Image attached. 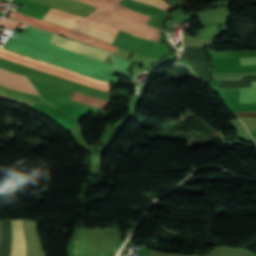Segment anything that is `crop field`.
Listing matches in <instances>:
<instances>
[{"instance_id": "8", "label": "crop field", "mask_w": 256, "mask_h": 256, "mask_svg": "<svg viewBox=\"0 0 256 256\" xmlns=\"http://www.w3.org/2000/svg\"><path fill=\"white\" fill-rule=\"evenodd\" d=\"M0 85L6 86V87H9V88H12V89H16V90H20V91H24V92H28V93H32V94L38 95L37 92H35L33 90H30V89H27V88H23V87L11 84V83L6 82V81L1 80V79H0Z\"/></svg>"}, {"instance_id": "6", "label": "crop field", "mask_w": 256, "mask_h": 256, "mask_svg": "<svg viewBox=\"0 0 256 256\" xmlns=\"http://www.w3.org/2000/svg\"><path fill=\"white\" fill-rule=\"evenodd\" d=\"M26 246L22 221H13L12 239L9 256H25Z\"/></svg>"}, {"instance_id": "4", "label": "crop field", "mask_w": 256, "mask_h": 256, "mask_svg": "<svg viewBox=\"0 0 256 256\" xmlns=\"http://www.w3.org/2000/svg\"><path fill=\"white\" fill-rule=\"evenodd\" d=\"M50 43L60 46L62 48L77 52V53H81V54L96 58L101 61H103L105 57L108 55V53L106 52H103L94 48H90L78 43H74L54 35L52 36Z\"/></svg>"}, {"instance_id": "7", "label": "crop field", "mask_w": 256, "mask_h": 256, "mask_svg": "<svg viewBox=\"0 0 256 256\" xmlns=\"http://www.w3.org/2000/svg\"><path fill=\"white\" fill-rule=\"evenodd\" d=\"M71 99L77 100V101H80L83 103H87V104H90L93 106L102 107V108H105L109 104L108 101L97 99V98H94V97H91V96H88V95H85V94H82V93H79L76 91H74Z\"/></svg>"}, {"instance_id": "9", "label": "crop field", "mask_w": 256, "mask_h": 256, "mask_svg": "<svg viewBox=\"0 0 256 256\" xmlns=\"http://www.w3.org/2000/svg\"><path fill=\"white\" fill-rule=\"evenodd\" d=\"M138 1L153 4V5H156L158 7L163 8V9H167V8L171 7V6L167 5L165 3V1H163V0H138Z\"/></svg>"}, {"instance_id": "10", "label": "crop field", "mask_w": 256, "mask_h": 256, "mask_svg": "<svg viewBox=\"0 0 256 256\" xmlns=\"http://www.w3.org/2000/svg\"><path fill=\"white\" fill-rule=\"evenodd\" d=\"M18 22L12 20L1 19L0 26L14 30Z\"/></svg>"}, {"instance_id": "2", "label": "crop field", "mask_w": 256, "mask_h": 256, "mask_svg": "<svg viewBox=\"0 0 256 256\" xmlns=\"http://www.w3.org/2000/svg\"><path fill=\"white\" fill-rule=\"evenodd\" d=\"M0 57L19 63L21 65L31 67L40 71H44L58 77L80 83L83 85H87L93 88L109 91V83L93 80L91 78L85 77L83 75L77 74L75 72L66 70L64 68L40 61V60H33L28 57L4 50L0 48Z\"/></svg>"}, {"instance_id": "1", "label": "crop field", "mask_w": 256, "mask_h": 256, "mask_svg": "<svg viewBox=\"0 0 256 256\" xmlns=\"http://www.w3.org/2000/svg\"><path fill=\"white\" fill-rule=\"evenodd\" d=\"M79 1L98 7L87 18L111 25L135 36L159 42V30L145 25L149 16L116 6L122 0Z\"/></svg>"}, {"instance_id": "5", "label": "crop field", "mask_w": 256, "mask_h": 256, "mask_svg": "<svg viewBox=\"0 0 256 256\" xmlns=\"http://www.w3.org/2000/svg\"><path fill=\"white\" fill-rule=\"evenodd\" d=\"M43 20H46V21H49V22H52V23H55V24H58V25H61V26L67 27V28H71V29H74V30H77V31H80V32H83V33H86V34H89L91 36L97 37L99 39L105 40V41L110 42V43L112 42V40L114 38L113 36H110L108 34L99 32L97 30L88 28L86 26H83V25H80V24H77V23H74V22H71V21H68V20H65V19H61V18H58V17H55V16H51V15H48V14L45 15Z\"/></svg>"}, {"instance_id": "12", "label": "crop field", "mask_w": 256, "mask_h": 256, "mask_svg": "<svg viewBox=\"0 0 256 256\" xmlns=\"http://www.w3.org/2000/svg\"><path fill=\"white\" fill-rule=\"evenodd\" d=\"M252 87H256V81L252 82Z\"/></svg>"}, {"instance_id": "3", "label": "crop field", "mask_w": 256, "mask_h": 256, "mask_svg": "<svg viewBox=\"0 0 256 256\" xmlns=\"http://www.w3.org/2000/svg\"><path fill=\"white\" fill-rule=\"evenodd\" d=\"M9 17L21 20L27 24H30V25H33V26H36V27H39L42 29H46V30L58 33L60 35H64V36H67V37H70V38H73V39H76V40H79V41H82V42H85L88 44H92V45H95V46H98V47H101V48H104V49H107V50H110L113 52H115L117 49V47H114V46L108 45L106 43H103L101 41H98L96 39H93L85 34L74 32L67 28H64V27H61V26H58V25H55V24H52V23H49L46 21H42V20H39V19H36L33 17H29L26 15L17 13L15 11H13Z\"/></svg>"}, {"instance_id": "11", "label": "crop field", "mask_w": 256, "mask_h": 256, "mask_svg": "<svg viewBox=\"0 0 256 256\" xmlns=\"http://www.w3.org/2000/svg\"><path fill=\"white\" fill-rule=\"evenodd\" d=\"M241 66L256 65V57L254 58H239Z\"/></svg>"}]
</instances>
